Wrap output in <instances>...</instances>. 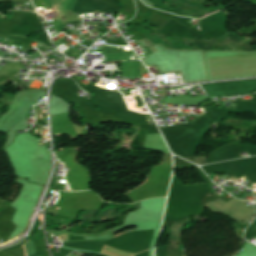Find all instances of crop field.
I'll return each mask as SVG.
<instances>
[{
    "label": "crop field",
    "instance_id": "obj_1",
    "mask_svg": "<svg viewBox=\"0 0 256 256\" xmlns=\"http://www.w3.org/2000/svg\"><path fill=\"white\" fill-rule=\"evenodd\" d=\"M24 245L26 247V251H27L28 256H32V255L36 254L33 241H28ZM24 245H23V247H24Z\"/></svg>",
    "mask_w": 256,
    "mask_h": 256
},
{
    "label": "crop field",
    "instance_id": "obj_2",
    "mask_svg": "<svg viewBox=\"0 0 256 256\" xmlns=\"http://www.w3.org/2000/svg\"><path fill=\"white\" fill-rule=\"evenodd\" d=\"M42 256V255H41Z\"/></svg>",
    "mask_w": 256,
    "mask_h": 256
}]
</instances>
